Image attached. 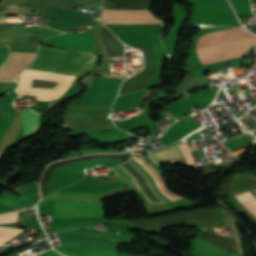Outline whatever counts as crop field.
<instances>
[{
	"label": "crop field",
	"mask_w": 256,
	"mask_h": 256,
	"mask_svg": "<svg viewBox=\"0 0 256 256\" xmlns=\"http://www.w3.org/2000/svg\"><path fill=\"white\" fill-rule=\"evenodd\" d=\"M253 35L245 32L242 28L213 31L201 36L197 42L196 49L212 46L228 41L244 39ZM255 37L228 42L212 47L198 49L197 54L203 65L245 55L248 49L254 45Z\"/></svg>",
	"instance_id": "1"
},
{
	"label": "crop field",
	"mask_w": 256,
	"mask_h": 256,
	"mask_svg": "<svg viewBox=\"0 0 256 256\" xmlns=\"http://www.w3.org/2000/svg\"><path fill=\"white\" fill-rule=\"evenodd\" d=\"M79 53L77 50L40 46L37 59L26 69L65 74ZM95 58L94 54L81 51L66 74L77 76L80 70Z\"/></svg>",
	"instance_id": "2"
},
{
	"label": "crop field",
	"mask_w": 256,
	"mask_h": 256,
	"mask_svg": "<svg viewBox=\"0 0 256 256\" xmlns=\"http://www.w3.org/2000/svg\"><path fill=\"white\" fill-rule=\"evenodd\" d=\"M110 107L70 105L64 114L63 127L85 130L116 129L111 123Z\"/></svg>",
	"instance_id": "3"
},
{
	"label": "crop field",
	"mask_w": 256,
	"mask_h": 256,
	"mask_svg": "<svg viewBox=\"0 0 256 256\" xmlns=\"http://www.w3.org/2000/svg\"><path fill=\"white\" fill-rule=\"evenodd\" d=\"M96 193L90 194H77V193H66L57 191L51 196L42 200V202L56 201V202H67V203H95ZM55 209L58 210H97L102 209L100 204H66L56 203ZM103 211H57L55 210V217H83L102 215Z\"/></svg>",
	"instance_id": "4"
},
{
	"label": "crop field",
	"mask_w": 256,
	"mask_h": 256,
	"mask_svg": "<svg viewBox=\"0 0 256 256\" xmlns=\"http://www.w3.org/2000/svg\"><path fill=\"white\" fill-rule=\"evenodd\" d=\"M104 23H162L150 11L104 10L101 17Z\"/></svg>",
	"instance_id": "5"
},
{
	"label": "crop field",
	"mask_w": 256,
	"mask_h": 256,
	"mask_svg": "<svg viewBox=\"0 0 256 256\" xmlns=\"http://www.w3.org/2000/svg\"><path fill=\"white\" fill-rule=\"evenodd\" d=\"M34 56L35 54L11 53L9 60L0 68V81L16 80L17 71H20L30 64Z\"/></svg>",
	"instance_id": "6"
},
{
	"label": "crop field",
	"mask_w": 256,
	"mask_h": 256,
	"mask_svg": "<svg viewBox=\"0 0 256 256\" xmlns=\"http://www.w3.org/2000/svg\"><path fill=\"white\" fill-rule=\"evenodd\" d=\"M43 43L50 46H58L64 48H77L90 51L93 47L91 36L77 35V34H63L46 38Z\"/></svg>",
	"instance_id": "7"
},
{
	"label": "crop field",
	"mask_w": 256,
	"mask_h": 256,
	"mask_svg": "<svg viewBox=\"0 0 256 256\" xmlns=\"http://www.w3.org/2000/svg\"><path fill=\"white\" fill-rule=\"evenodd\" d=\"M133 165H135L141 172L142 174L145 176V178L148 180V182L150 183V186L152 188V190L154 191V193L160 198L162 199L164 202L167 201H171L169 198L165 197L163 195V193L158 189L155 181L152 179V177L149 175V173L147 172V170L140 165L137 161H135L133 158L131 160H129ZM112 174L114 176H116L118 179L124 181L125 183H131V182H135L133 180V178L129 175L128 172H126L124 169H122L120 166L112 169Z\"/></svg>",
	"instance_id": "8"
},
{
	"label": "crop field",
	"mask_w": 256,
	"mask_h": 256,
	"mask_svg": "<svg viewBox=\"0 0 256 256\" xmlns=\"http://www.w3.org/2000/svg\"><path fill=\"white\" fill-rule=\"evenodd\" d=\"M23 115L26 128V135L28 138L30 136L35 135L40 129L41 119L43 115L30 108L23 111Z\"/></svg>",
	"instance_id": "9"
},
{
	"label": "crop field",
	"mask_w": 256,
	"mask_h": 256,
	"mask_svg": "<svg viewBox=\"0 0 256 256\" xmlns=\"http://www.w3.org/2000/svg\"><path fill=\"white\" fill-rule=\"evenodd\" d=\"M149 154L154 160L182 156L177 144L166 149L150 151Z\"/></svg>",
	"instance_id": "10"
},
{
	"label": "crop field",
	"mask_w": 256,
	"mask_h": 256,
	"mask_svg": "<svg viewBox=\"0 0 256 256\" xmlns=\"http://www.w3.org/2000/svg\"><path fill=\"white\" fill-rule=\"evenodd\" d=\"M180 148H181V151H182V155L187 163L188 166H196L193 159H192V156L190 154V151L187 147V143H180L179 144Z\"/></svg>",
	"instance_id": "11"
},
{
	"label": "crop field",
	"mask_w": 256,
	"mask_h": 256,
	"mask_svg": "<svg viewBox=\"0 0 256 256\" xmlns=\"http://www.w3.org/2000/svg\"><path fill=\"white\" fill-rule=\"evenodd\" d=\"M17 216H18V211L12 212V213H7V214H1L0 215V223L17 222Z\"/></svg>",
	"instance_id": "12"
}]
</instances>
